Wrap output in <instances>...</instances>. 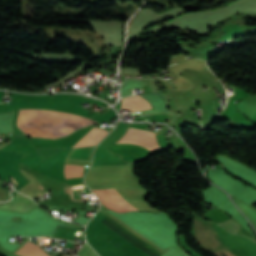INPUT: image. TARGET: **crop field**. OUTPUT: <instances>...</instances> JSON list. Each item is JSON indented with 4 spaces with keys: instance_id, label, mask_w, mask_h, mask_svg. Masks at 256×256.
<instances>
[{
    "instance_id": "crop-field-2",
    "label": "crop field",
    "mask_w": 256,
    "mask_h": 256,
    "mask_svg": "<svg viewBox=\"0 0 256 256\" xmlns=\"http://www.w3.org/2000/svg\"><path fill=\"white\" fill-rule=\"evenodd\" d=\"M111 193L125 206H127L132 211H136V209L133 205H131L127 200H125L115 189H109ZM108 189H98L93 190L94 193L99 197V199L103 202V204L117 212H127L131 211L127 207H125L123 204H121L109 191Z\"/></svg>"
},
{
    "instance_id": "crop-field-10",
    "label": "crop field",
    "mask_w": 256,
    "mask_h": 256,
    "mask_svg": "<svg viewBox=\"0 0 256 256\" xmlns=\"http://www.w3.org/2000/svg\"><path fill=\"white\" fill-rule=\"evenodd\" d=\"M213 105H214V101H213ZM214 109H215V105H214Z\"/></svg>"
},
{
    "instance_id": "crop-field-7",
    "label": "crop field",
    "mask_w": 256,
    "mask_h": 256,
    "mask_svg": "<svg viewBox=\"0 0 256 256\" xmlns=\"http://www.w3.org/2000/svg\"><path fill=\"white\" fill-rule=\"evenodd\" d=\"M83 168L65 166V177H79L82 176Z\"/></svg>"
},
{
    "instance_id": "crop-field-8",
    "label": "crop field",
    "mask_w": 256,
    "mask_h": 256,
    "mask_svg": "<svg viewBox=\"0 0 256 256\" xmlns=\"http://www.w3.org/2000/svg\"><path fill=\"white\" fill-rule=\"evenodd\" d=\"M221 226H223L225 229H227L228 231L237 234V232L240 229V226L237 225L232 219L223 222V223H219Z\"/></svg>"
},
{
    "instance_id": "crop-field-9",
    "label": "crop field",
    "mask_w": 256,
    "mask_h": 256,
    "mask_svg": "<svg viewBox=\"0 0 256 256\" xmlns=\"http://www.w3.org/2000/svg\"><path fill=\"white\" fill-rule=\"evenodd\" d=\"M218 184V183H217ZM219 186H221L220 184H218ZM222 188H224L223 186H221ZM228 193H230L229 192V190H227L226 188H224Z\"/></svg>"
},
{
    "instance_id": "crop-field-3",
    "label": "crop field",
    "mask_w": 256,
    "mask_h": 256,
    "mask_svg": "<svg viewBox=\"0 0 256 256\" xmlns=\"http://www.w3.org/2000/svg\"><path fill=\"white\" fill-rule=\"evenodd\" d=\"M129 132L137 133V134H143L148 135L155 139V134L146 130H139L135 128H129ZM117 143H131V144H137L140 146L145 147L149 151L159 147L157 141H154L148 137L143 136H137L133 134L126 133Z\"/></svg>"
},
{
    "instance_id": "crop-field-6",
    "label": "crop field",
    "mask_w": 256,
    "mask_h": 256,
    "mask_svg": "<svg viewBox=\"0 0 256 256\" xmlns=\"http://www.w3.org/2000/svg\"><path fill=\"white\" fill-rule=\"evenodd\" d=\"M15 253L23 256H49L39 246L29 241H27Z\"/></svg>"
},
{
    "instance_id": "crop-field-11",
    "label": "crop field",
    "mask_w": 256,
    "mask_h": 256,
    "mask_svg": "<svg viewBox=\"0 0 256 256\" xmlns=\"http://www.w3.org/2000/svg\"><path fill=\"white\" fill-rule=\"evenodd\" d=\"M10 141H11V140H10ZM8 142H9V141H8ZM8 142H7V143H8ZM4 145H5V144H4Z\"/></svg>"
},
{
    "instance_id": "crop-field-4",
    "label": "crop field",
    "mask_w": 256,
    "mask_h": 256,
    "mask_svg": "<svg viewBox=\"0 0 256 256\" xmlns=\"http://www.w3.org/2000/svg\"><path fill=\"white\" fill-rule=\"evenodd\" d=\"M121 107L131 109L132 112L149 109L151 105L141 96L130 97L122 99Z\"/></svg>"
},
{
    "instance_id": "crop-field-12",
    "label": "crop field",
    "mask_w": 256,
    "mask_h": 256,
    "mask_svg": "<svg viewBox=\"0 0 256 256\" xmlns=\"http://www.w3.org/2000/svg\"><path fill=\"white\" fill-rule=\"evenodd\" d=\"M221 92V91H220Z\"/></svg>"
},
{
    "instance_id": "crop-field-5",
    "label": "crop field",
    "mask_w": 256,
    "mask_h": 256,
    "mask_svg": "<svg viewBox=\"0 0 256 256\" xmlns=\"http://www.w3.org/2000/svg\"><path fill=\"white\" fill-rule=\"evenodd\" d=\"M94 128H95V127H94ZM94 128H93V129H94ZM93 129H92V130H93ZM92 130H91V131H92ZM91 131H90V132H91ZM88 133H89V132H88ZM88 133H87V134H88ZM107 133H108V132L105 131V130H102V129H99V128H95L91 133H89L88 135L86 134L87 136L85 135L86 137L84 136L85 138L83 137L84 139L82 138L83 140L81 139L82 141L80 140V141H81V142L79 141L80 143L77 142L78 144L76 143L77 145L75 144L76 146H75V145H74V146H75V147H84V146H92V145H95V144H96L101 138H103Z\"/></svg>"
},
{
    "instance_id": "crop-field-1",
    "label": "crop field",
    "mask_w": 256,
    "mask_h": 256,
    "mask_svg": "<svg viewBox=\"0 0 256 256\" xmlns=\"http://www.w3.org/2000/svg\"><path fill=\"white\" fill-rule=\"evenodd\" d=\"M94 124L89 118L32 106L20 109L18 133L27 137L57 139Z\"/></svg>"
}]
</instances>
